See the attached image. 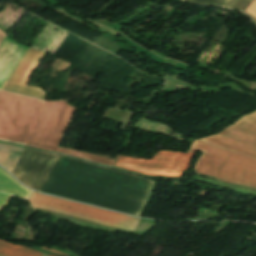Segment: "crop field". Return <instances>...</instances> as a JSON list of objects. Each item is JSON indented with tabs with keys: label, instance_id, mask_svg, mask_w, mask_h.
Segmentation results:
<instances>
[{
	"label": "crop field",
	"instance_id": "22f410ed",
	"mask_svg": "<svg viewBox=\"0 0 256 256\" xmlns=\"http://www.w3.org/2000/svg\"><path fill=\"white\" fill-rule=\"evenodd\" d=\"M244 12L252 16L256 21V0H254Z\"/></svg>",
	"mask_w": 256,
	"mask_h": 256
},
{
	"label": "crop field",
	"instance_id": "cbeb9de0",
	"mask_svg": "<svg viewBox=\"0 0 256 256\" xmlns=\"http://www.w3.org/2000/svg\"><path fill=\"white\" fill-rule=\"evenodd\" d=\"M10 197L11 195L0 193V210H2L5 207Z\"/></svg>",
	"mask_w": 256,
	"mask_h": 256
},
{
	"label": "crop field",
	"instance_id": "d8731c3e",
	"mask_svg": "<svg viewBox=\"0 0 256 256\" xmlns=\"http://www.w3.org/2000/svg\"><path fill=\"white\" fill-rule=\"evenodd\" d=\"M43 55L44 52L29 47L2 89L43 99L45 92L26 86L34 68Z\"/></svg>",
	"mask_w": 256,
	"mask_h": 256
},
{
	"label": "crop field",
	"instance_id": "8a807250",
	"mask_svg": "<svg viewBox=\"0 0 256 256\" xmlns=\"http://www.w3.org/2000/svg\"><path fill=\"white\" fill-rule=\"evenodd\" d=\"M153 182L59 156L40 192L138 215Z\"/></svg>",
	"mask_w": 256,
	"mask_h": 256
},
{
	"label": "crop field",
	"instance_id": "d1516ede",
	"mask_svg": "<svg viewBox=\"0 0 256 256\" xmlns=\"http://www.w3.org/2000/svg\"><path fill=\"white\" fill-rule=\"evenodd\" d=\"M57 152H60L62 154H66V155H70V156H74V157H78V158H82V159H86V160H90V161H94V162H98V163L107 164V165H112V163H113V160L105 159L102 157H98L95 155H91V154H87V153L75 151V150L59 148Z\"/></svg>",
	"mask_w": 256,
	"mask_h": 256
},
{
	"label": "crop field",
	"instance_id": "e52e79f7",
	"mask_svg": "<svg viewBox=\"0 0 256 256\" xmlns=\"http://www.w3.org/2000/svg\"><path fill=\"white\" fill-rule=\"evenodd\" d=\"M199 140L256 158V112L238 119L215 135Z\"/></svg>",
	"mask_w": 256,
	"mask_h": 256
},
{
	"label": "crop field",
	"instance_id": "f4fd0767",
	"mask_svg": "<svg viewBox=\"0 0 256 256\" xmlns=\"http://www.w3.org/2000/svg\"><path fill=\"white\" fill-rule=\"evenodd\" d=\"M74 111L66 101H46L26 145L56 152Z\"/></svg>",
	"mask_w": 256,
	"mask_h": 256
},
{
	"label": "crop field",
	"instance_id": "ac0d7876",
	"mask_svg": "<svg viewBox=\"0 0 256 256\" xmlns=\"http://www.w3.org/2000/svg\"><path fill=\"white\" fill-rule=\"evenodd\" d=\"M203 152L194 170L226 183L256 189V160L194 140L189 152Z\"/></svg>",
	"mask_w": 256,
	"mask_h": 256
},
{
	"label": "crop field",
	"instance_id": "34b2d1b8",
	"mask_svg": "<svg viewBox=\"0 0 256 256\" xmlns=\"http://www.w3.org/2000/svg\"><path fill=\"white\" fill-rule=\"evenodd\" d=\"M44 102L0 91V139L26 144Z\"/></svg>",
	"mask_w": 256,
	"mask_h": 256
},
{
	"label": "crop field",
	"instance_id": "28ad6ade",
	"mask_svg": "<svg viewBox=\"0 0 256 256\" xmlns=\"http://www.w3.org/2000/svg\"><path fill=\"white\" fill-rule=\"evenodd\" d=\"M0 256H52L19 245L0 241Z\"/></svg>",
	"mask_w": 256,
	"mask_h": 256
},
{
	"label": "crop field",
	"instance_id": "5142ce71",
	"mask_svg": "<svg viewBox=\"0 0 256 256\" xmlns=\"http://www.w3.org/2000/svg\"><path fill=\"white\" fill-rule=\"evenodd\" d=\"M42 249H45V250H48V251H51V252L57 253V254H59V255H66V256H69V255H67V254H64V253H61V252H58V251H55V250L49 249V248H47V247H43Z\"/></svg>",
	"mask_w": 256,
	"mask_h": 256
},
{
	"label": "crop field",
	"instance_id": "dd49c442",
	"mask_svg": "<svg viewBox=\"0 0 256 256\" xmlns=\"http://www.w3.org/2000/svg\"><path fill=\"white\" fill-rule=\"evenodd\" d=\"M194 157L191 153L159 150L152 159L131 158L116 155L113 167L157 176L182 177V171L188 169Z\"/></svg>",
	"mask_w": 256,
	"mask_h": 256
},
{
	"label": "crop field",
	"instance_id": "5a996713",
	"mask_svg": "<svg viewBox=\"0 0 256 256\" xmlns=\"http://www.w3.org/2000/svg\"><path fill=\"white\" fill-rule=\"evenodd\" d=\"M23 151V148L0 143V164L11 173Z\"/></svg>",
	"mask_w": 256,
	"mask_h": 256
},
{
	"label": "crop field",
	"instance_id": "412701ff",
	"mask_svg": "<svg viewBox=\"0 0 256 256\" xmlns=\"http://www.w3.org/2000/svg\"><path fill=\"white\" fill-rule=\"evenodd\" d=\"M33 207L70 217L133 231L139 218L98 209L46 195L32 193L28 199Z\"/></svg>",
	"mask_w": 256,
	"mask_h": 256
},
{
	"label": "crop field",
	"instance_id": "3316defc",
	"mask_svg": "<svg viewBox=\"0 0 256 256\" xmlns=\"http://www.w3.org/2000/svg\"><path fill=\"white\" fill-rule=\"evenodd\" d=\"M0 192L14 194L23 198H27L31 193L30 190L21 186L11 176L0 168Z\"/></svg>",
	"mask_w": 256,
	"mask_h": 256
}]
</instances>
